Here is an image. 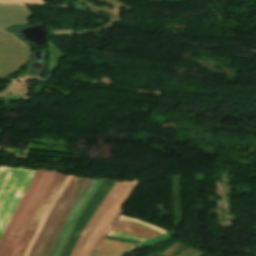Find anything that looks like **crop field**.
<instances>
[{"label":"crop field","mask_w":256,"mask_h":256,"mask_svg":"<svg viewBox=\"0 0 256 256\" xmlns=\"http://www.w3.org/2000/svg\"><path fill=\"white\" fill-rule=\"evenodd\" d=\"M80 178L73 177L70 184L57 201L55 206L53 207L42 231L40 232L38 238L36 239L29 256H38L41 248L43 247L45 241L47 240L48 236L50 235L56 221L58 220L59 216L61 215L70 195L74 192Z\"/></svg>","instance_id":"crop-field-4"},{"label":"crop field","mask_w":256,"mask_h":256,"mask_svg":"<svg viewBox=\"0 0 256 256\" xmlns=\"http://www.w3.org/2000/svg\"><path fill=\"white\" fill-rule=\"evenodd\" d=\"M120 219H121V220L128 221V222H132V223H135V224H138V225H140V226H144V227L151 228V229L157 231V232L160 233V234H163V233L166 232V231H164V230H162V229H160V228H158V227H156V226H154V225H151V224L146 223V222L141 221V220L133 219V218L126 217V216H123V215L121 216Z\"/></svg>","instance_id":"crop-field-11"},{"label":"crop field","mask_w":256,"mask_h":256,"mask_svg":"<svg viewBox=\"0 0 256 256\" xmlns=\"http://www.w3.org/2000/svg\"><path fill=\"white\" fill-rule=\"evenodd\" d=\"M123 213L122 210H120L116 216L114 217V219L111 221V223L109 224V226L107 227L106 231L104 232V234L102 235V237L100 238V240L98 241V243L96 244V246L94 247L95 250L98 249L100 243L102 242V240L104 239V237L106 236V234L110 231V229L112 227H115V228H120V229H124V230H129V231H133V232H136V233H140V234H143V235H147V236H156L148 231H145L143 229H140V228H136V227H133V226H129V225H126V224H122V223H118L116 222L121 214Z\"/></svg>","instance_id":"crop-field-9"},{"label":"crop field","mask_w":256,"mask_h":256,"mask_svg":"<svg viewBox=\"0 0 256 256\" xmlns=\"http://www.w3.org/2000/svg\"><path fill=\"white\" fill-rule=\"evenodd\" d=\"M65 178H66V176H63V175L57 173L49 191L47 192L46 196L44 197L43 201L41 202L39 208H48L49 204L53 200L54 196L56 195L57 191L59 190V188L62 185ZM45 211H46V209H37L30 224L28 225V227H37ZM35 230H36V228H27L26 229L14 255H19V256L24 255V252H25Z\"/></svg>","instance_id":"crop-field-5"},{"label":"crop field","mask_w":256,"mask_h":256,"mask_svg":"<svg viewBox=\"0 0 256 256\" xmlns=\"http://www.w3.org/2000/svg\"><path fill=\"white\" fill-rule=\"evenodd\" d=\"M91 182L90 179L82 178L81 182L79 183L78 187L76 188L74 194L71 196L65 210L63 211L62 215L60 216L54 230L52 231L51 235L49 236L47 242L45 243L44 247L42 248L39 256H48L51 252L53 246L55 245L70 213L72 212L73 208L75 207L76 203L78 202L81 195L84 193L85 189Z\"/></svg>","instance_id":"crop-field-7"},{"label":"crop field","mask_w":256,"mask_h":256,"mask_svg":"<svg viewBox=\"0 0 256 256\" xmlns=\"http://www.w3.org/2000/svg\"><path fill=\"white\" fill-rule=\"evenodd\" d=\"M118 222H122V223L130 224V225H133V226H137V225H135V224L128 223V222H124V221H120V220H118ZM137 227H140V226H137ZM140 228H143V227H140ZM143 229L148 230V231H150V232H153V233H155V234L159 235L158 233H156V232H154V231H152V230H150V229H147V228H143Z\"/></svg>","instance_id":"crop-field-14"},{"label":"crop field","mask_w":256,"mask_h":256,"mask_svg":"<svg viewBox=\"0 0 256 256\" xmlns=\"http://www.w3.org/2000/svg\"><path fill=\"white\" fill-rule=\"evenodd\" d=\"M127 183H115L106 198L103 200L91 220L88 222L86 227L84 228L79 240L77 241L75 247L73 248L70 256H79L82 248L84 247L85 243L89 239L90 235L97 227L99 222L101 221L102 217L109 209V207L116 201V199L121 194L123 188L126 186Z\"/></svg>","instance_id":"crop-field-3"},{"label":"crop field","mask_w":256,"mask_h":256,"mask_svg":"<svg viewBox=\"0 0 256 256\" xmlns=\"http://www.w3.org/2000/svg\"><path fill=\"white\" fill-rule=\"evenodd\" d=\"M72 177H73V176L68 175V177H67V179L65 180L64 184H63L62 187L60 188L59 192H58L57 195L55 196V198H54V200L52 201V203L50 204L49 208L47 209V211H46V213H45V215H44V217H43V219H42L40 225L38 226V228H37V230H36V232H35V234H34L32 240H31V242H30V244H29V246H28V248H27V250H26V252H25V256L28 255V252H29L31 246H32V244L34 243V241H35L37 235L39 234V232H40V230H41V228H42V226H43V224H44V222H45L47 216L49 215V213H50L52 207L54 206V204L56 203V201L58 200V198L60 197V195L62 194V192L64 191V189L66 188V186L68 185V183L70 182V180L72 179Z\"/></svg>","instance_id":"crop-field-10"},{"label":"crop field","mask_w":256,"mask_h":256,"mask_svg":"<svg viewBox=\"0 0 256 256\" xmlns=\"http://www.w3.org/2000/svg\"><path fill=\"white\" fill-rule=\"evenodd\" d=\"M133 244L104 240L96 256H122Z\"/></svg>","instance_id":"crop-field-8"},{"label":"crop field","mask_w":256,"mask_h":256,"mask_svg":"<svg viewBox=\"0 0 256 256\" xmlns=\"http://www.w3.org/2000/svg\"><path fill=\"white\" fill-rule=\"evenodd\" d=\"M36 170L0 167V237Z\"/></svg>","instance_id":"crop-field-2"},{"label":"crop field","mask_w":256,"mask_h":256,"mask_svg":"<svg viewBox=\"0 0 256 256\" xmlns=\"http://www.w3.org/2000/svg\"><path fill=\"white\" fill-rule=\"evenodd\" d=\"M108 235L121 237V238L129 239V240H133V241H139V242H143V241L147 240V239H144V238H141L138 236L124 234V233H120V232H116V231H112V230L110 231V233Z\"/></svg>","instance_id":"crop-field-12"},{"label":"crop field","mask_w":256,"mask_h":256,"mask_svg":"<svg viewBox=\"0 0 256 256\" xmlns=\"http://www.w3.org/2000/svg\"><path fill=\"white\" fill-rule=\"evenodd\" d=\"M56 172L37 170L27 192L0 239V256H13L14 251Z\"/></svg>","instance_id":"crop-field-1"},{"label":"crop field","mask_w":256,"mask_h":256,"mask_svg":"<svg viewBox=\"0 0 256 256\" xmlns=\"http://www.w3.org/2000/svg\"><path fill=\"white\" fill-rule=\"evenodd\" d=\"M139 182L134 183H128L125 187L123 193L120 195V197L117 199V201L110 207V209L105 214L104 218L98 225V227L95 229L93 234L91 235L90 239L86 243L82 253L80 256H89L91 250L105 231L106 227L110 223V221L113 219L115 214L118 212L120 207L124 204V202L127 200V198L130 196V194L133 192V190L136 188ZM122 208V207H121ZM120 211V210H119Z\"/></svg>","instance_id":"crop-field-6"},{"label":"crop field","mask_w":256,"mask_h":256,"mask_svg":"<svg viewBox=\"0 0 256 256\" xmlns=\"http://www.w3.org/2000/svg\"><path fill=\"white\" fill-rule=\"evenodd\" d=\"M112 230H116V231H120V232H124V233H129V234H134V235H138V236L146 237V238H148V239L150 238V237H147V236H143V235H140V234H136V233H133V232L124 231V230H120V229L112 228Z\"/></svg>","instance_id":"crop-field-13"}]
</instances>
